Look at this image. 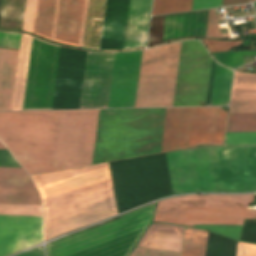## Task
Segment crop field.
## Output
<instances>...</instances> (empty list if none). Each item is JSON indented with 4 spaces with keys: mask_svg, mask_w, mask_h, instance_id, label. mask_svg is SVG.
I'll return each mask as SVG.
<instances>
[{
    "mask_svg": "<svg viewBox=\"0 0 256 256\" xmlns=\"http://www.w3.org/2000/svg\"><path fill=\"white\" fill-rule=\"evenodd\" d=\"M227 132H256V113H229Z\"/></svg>",
    "mask_w": 256,
    "mask_h": 256,
    "instance_id": "obj_31",
    "label": "crop field"
},
{
    "mask_svg": "<svg viewBox=\"0 0 256 256\" xmlns=\"http://www.w3.org/2000/svg\"><path fill=\"white\" fill-rule=\"evenodd\" d=\"M222 0H193L192 10L221 6Z\"/></svg>",
    "mask_w": 256,
    "mask_h": 256,
    "instance_id": "obj_44",
    "label": "crop field"
},
{
    "mask_svg": "<svg viewBox=\"0 0 256 256\" xmlns=\"http://www.w3.org/2000/svg\"><path fill=\"white\" fill-rule=\"evenodd\" d=\"M256 91V74L236 72L232 92Z\"/></svg>",
    "mask_w": 256,
    "mask_h": 256,
    "instance_id": "obj_34",
    "label": "crop field"
},
{
    "mask_svg": "<svg viewBox=\"0 0 256 256\" xmlns=\"http://www.w3.org/2000/svg\"><path fill=\"white\" fill-rule=\"evenodd\" d=\"M237 242L209 233L206 256H235Z\"/></svg>",
    "mask_w": 256,
    "mask_h": 256,
    "instance_id": "obj_30",
    "label": "crop field"
},
{
    "mask_svg": "<svg viewBox=\"0 0 256 256\" xmlns=\"http://www.w3.org/2000/svg\"><path fill=\"white\" fill-rule=\"evenodd\" d=\"M24 7L25 0H3L0 27L21 30Z\"/></svg>",
    "mask_w": 256,
    "mask_h": 256,
    "instance_id": "obj_26",
    "label": "crop field"
},
{
    "mask_svg": "<svg viewBox=\"0 0 256 256\" xmlns=\"http://www.w3.org/2000/svg\"><path fill=\"white\" fill-rule=\"evenodd\" d=\"M256 99V92L252 93H232L231 100H249Z\"/></svg>",
    "mask_w": 256,
    "mask_h": 256,
    "instance_id": "obj_46",
    "label": "crop field"
},
{
    "mask_svg": "<svg viewBox=\"0 0 256 256\" xmlns=\"http://www.w3.org/2000/svg\"><path fill=\"white\" fill-rule=\"evenodd\" d=\"M192 0H154L152 15L191 10Z\"/></svg>",
    "mask_w": 256,
    "mask_h": 256,
    "instance_id": "obj_32",
    "label": "crop field"
},
{
    "mask_svg": "<svg viewBox=\"0 0 256 256\" xmlns=\"http://www.w3.org/2000/svg\"><path fill=\"white\" fill-rule=\"evenodd\" d=\"M152 0H130L123 49L144 47ZM128 0H107L100 49H121Z\"/></svg>",
    "mask_w": 256,
    "mask_h": 256,
    "instance_id": "obj_11",
    "label": "crop field"
},
{
    "mask_svg": "<svg viewBox=\"0 0 256 256\" xmlns=\"http://www.w3.org/2000/svg\"><path fill=\"white\" fill-rule=\"evenodd\" d=\"M204 11H196V12H188V13H180V14H172V15H164V16H156L152 17L148 44L147 47L165 43L168 39L182 37L186 35H204L206 20H207V12ZM207 12V13H201ZM193 13H201V14H193ZM185 14H193V15H185ZM177 15H185V16H177ZM169 16H177V17H169ZM164 17L165 18V38L164 37ZM194 37H204V36H186L177 39H185V38H194ZM172 39V40H177ZM169 40V41H172Z\"/></svg>",
    "mask_w": 256,
    "mask_h": 256,
    "instance_id": "obj_19",
    "label": "crop field"
},
{
    "mask_svg": "<svg viewBox=\"0 0 256 256\" xmlns=\"http://www.w3.org/2000/svg\"><path fill=\"white\" fill-rule=\"evenodd\" d=\"M151 210L152 206L51 243L50 256H124Z\"/></svg>",
    "mask_w": 256,
    "mask_h": 256,
    "instance_id": "obj_6",
    "label": "crop field"
},
{
    "mask_svg": "<svg viewBox=\"0 0 256 256\" xmlns=\"http://www.w3.org/2000/svg\"><path fill=\"white\" fill-rule=\"evenodd\" d=\"M41 217L0 215V256L42 242Z\"/></svg>",
    "mask_w": 256,
    "mask_h": 256,
    "instance_id": "obj_18",
    "label": "crop field"
},
{
    "mask_svg": "<svg viewBox=\"0 0 256 256\" xmlns=\"http://www.w3.org/2000/svg\"><path fill=\"white\" fill-rule=\"evenodd\" d=\"M86 55L61 46L52 109H79Z\"/></svg>",
    "mask_w": 256,
    "mask_h": 256,
    "instance_id": "obj_15",
    "label": "crop field"
},
{
    "mask_svg": "<svg viewBox=\"0 0 256 256\" xmlns=\"http://www.w3.org/2000/svg\"><path fill=\"white\" fill-rule=\"evenodd\" d=\"M211 62L201 42H182L173 106H198L205 101Z\"/></svg>",
    "mask_w": 256,
    "mask_h": 256,
    "instance_id": "obj_13",
    "label": "crop field"
},
{
    "mask_svg": "<svg viewBox=\"0 0 256 256\" xmlns=\"http://www.w3.org/2000/svg\"><path fill=\"white\" fill-rule=\"evenodd\" d=\"M152 230L162 231V232H169L175 234H183L184 227L180 226H171V225H163V224H153L149 227L147 232L144 234L140 242L137 246H140L144 243L148 235L151 233ZM152 231L149 235L145 243L142 247H149V248H158V249H167V250H176L180 251L182 237L183 235H175L169 233H162Z\"/></svg>",
    "mask_w": 256,
    "mask_h": 256,
    "instance_id": "obj_22",
    "label": "crop field"
},
{
    "mask_svg": "<svg viewBox=\"0 0 256 256\" xmlns=\"http://www.w3.org/2000/svg\"><path fill=\"white\" fill-rule=\"evenodd\" d=\"M233 71L217 64L210 106L228 105Z\"/></svg>",
    "mask_w": 256,
    "mask_h": 256,
    "instance_id": "obj_25",
    "label": "crop field"
},
{
    "mask_svg": "<svg viewBox=\"0 0 256 256\" xmlns=\"http://www.w3.org/2000/svg\"><path fill=\"white\" fill-rule=\"evenodd\" d=\"M229 112H256V100L231 101Z\"/></svg>",
    "mask_w": 256,
    "mask_h": 256,
    "instance_id": "obj_41",
    "label": "crop field"
},
{
    "mask_svg": "<svg viewBox=\"0 0 256 256\" xmlns=\"http://www.w3.org/2000/svg\"><path fill=\"white\" fill-rule=\"evenodd\" d=\"M141 54L116 53L108 108L134 107Z\"/></svg>",
    "mask_w": 256,
    "mask_h": 256,
    "instance_id": "obj_17",
    "label": "crop field"
},
{
    "mask_svg": "<svg viewBox=\"0 0 256 256\" xmlns=\"http://www.w3.org/2000/svg\"><path fill=\"white\" fill-rule=\"evenodd\" d=\"M0 213L41 215V206L0 204Z\"/></svg>",
    "mask_w": 256,
    "mask_h": 256,
    "instance_id": "obj_35",
    "label": "crop field"
},
{
    "mask_svg": "<svg viewBox=\"0 0 256 256\" xmlns=\"http://www.w3.org/2000/svg\"><path fill=\"white\" fill-rule=\"evenodd\" d=\"M21 34L0 32V46L18 48ZM18 51L0 48V110H10Z\"/></svg>",
    "mask_w": 256,
    "mask_h": 256,
    "instance_id": "obj_20",
    "label": "crop field"
},
{
    "mask_svg": "<svg viewBox=\"0 0 256 256\" xmlns=\"http://www.w3.org/2000/svg\"><path fill=\"white\" fill-rule=\"evenodd\" d=\"M98 113L61 111L53 171L91 164Z\"/></svg>",
    "mask_w": 256,
    "mask_h": 256,
    "instance_id": "obj_10",
    "label": "crop field"
},
{
    "mask_svg": "<svg viewBox=\"0 0 256 256\" xmlns=\"http://www.w3.org/2000/svg\"><path fill=\"white\" fill-rule=\"evenodd\" d=\"M225 145H256V133H227Z\"/></svg>",
    "mask_w": 256,
    "mask_h": 256,
    "instance_id": "obj_36",
    "label": "crop field"
},
{
    "mask_svg": "<svg viewBox=\"0 0 256 256\" xmlns=\"http://www.w3.org/2000/svg\"><path fill=\"white\" fill-rule=\"evenodd\" d=\"M114 56L88 52L80 109L107 108Z\"/></svg>",
    "mask_w": 256,
    "mask_h": 256,
    "instance_id": "obj_16",
    "label": "crop field"
},
{
    "mask_svg": "<svg viewBox=\"0 0 256 256\" xmlns=\"http://www.w3.org/2000/svg\"><path fill=\"white\" fill-rule=\"evenodd\" d=\"M240 240L256 242V222L245 221Z\"/></svg>",
    "mask_w": 256,
    "mask_h": 256,
    "instance_id": "obj_42",
    "label": "crop field"
},
{
    "mask_svg": "<svg viewBox=\"0 0 256 256\" xmlns=\"http://www.w3.org/2000/svg\"><path fill=\"white\" fill-rule=\"evenodd\" d=\"M205 37L222 38L215 9L209 10Z\"/></svg>",
    "mask_w": 256,
    "mask_h": 256,
    "instance_id": "obj_38",
    "label": "crop field"
},
{
    "mask_svg": "<svg viewBox=\"0 0 256 256\" xmlns=\"http://www.w3.org/2000/svg\"><path fill=\"white\" fill-rule=\"evenodd\" d=\"M208 149L216 192L256 191V146ZM208 149H191L199 192H215Z\"/></svg>",
    "mask_w": 256,
    "mask_h": 256,
    "instance_id": "obj_5",
    "label": "crop field"
},
{
    "mask_svg": "<svg viewBox=\"0 0 256 256\" xmlns=\"http://www.w3.org/2000/svg\"><path fill=\"white\" fill-rule=\"evenodd\" d=\"M248 3V0H223L222 6L244 4Z\"/></svg>",
    "mask_w": 256,
    "mask_h": 256,
    "instance_id": "obj_49",
    "label": "crop field"
},
{
    "mask_svg": "<svg viewBox=\"0 0 256 256\" xmlns=\"http://www.w3.org/2000/svg\"><path fill=\"white\" fill-rule=\"evenodd\" d=\"M252 195H187L158 202L153 222L185 226L205 224L242 225L243 218H256V211L246 209ZM196 226L239 239L241 226Z\"/></svg>",
    "mask_w": 256,
    "mask_h": 256,
    "instance_id": "obj_3",
    "label": "crop field"
},
{
    "mask_svg": "<svg viewBox=\"0 0 256 256\" xmlns=\"http://www.w3.org/2000/svg\"><path fill=\"white\" fill-rule=\"evenodd\" d=\"M32 36L22 34L11 110H21Z\"/></svg>",
    "mask_w": 256,
    "mask_h": 256,
    "instance_id": "obj_24",
    "label": "crop field"
},
{
    "mask_svg": "<svg viewBox=\"0 0 256 256\" xmlns=\"http://www.w3.org/2000/svg\"><path fill=\"white\" fill-rule=\"evenodd\" d=\"M44 207V240L117 213L108 164L32 176Z\"/></svg>",
    "mask_w": 256,
    "mask_h": 256,
    "instance_id": "obj_1",
    "label": "crop field"
},
{
    "mask_svg": "<svg viewBox=\"0 0 256 256\" xmlns=\"http://www.w3.org/2000/svg\"><path fill=\"white\" fill-rule=\"evenodd\" d=\"M16 256H44L42 247L34 248Z\"/></svg>",
    "mask_w": 256,
    "mask_h": 256,
    "instance_id": "obj_48",
    "label": "crop field"
},
{
    "mask_svg": "<svg viewBox=\"0 0 256 256\" xmlns=\"http://www.w3.org/2000/svg\"><path fill=\"white\" fill-rule=\"evenodd\" d=\"M0 203L41 205L36 190L0 189Z\"/></svg>",
    "mask_w": 256,
    "mask_h": 256,
    "instance_id": "obj_29",
    "label": "crop field"
},
{
    "mask_svg": "<svg viewBox=\"0 0 256 256\" xmlns=\"http://www.w3.org/2000/svg\"><path fill=\"white\" fill-rule=\"evenodd\" d=\"M166 156L173 192H198L190 149L168 153Z\"/></svg>",
    "mask_w": 256,
    "mask_h": 256,
    "instance_id": "obj_21",
    "label": "crop field"
},
{
    "mask_svg": "<svg viewBox=\"0 0 256 256\" xmlns=\"http://www.w3.org/2000/svg\"><path fill=\"white\" fill-rule=\"evenodd\" d=\"M118 213L171 195L165 154L110 163Z\"/></svg>",
    "mask_w": 256,
    "mask_h": 256,
    "instance_id": "obj_7",
    "label": "crop field"
},
{
    "mask_svg": "<svg viewBox=\"0 0 256 256\" xmlns=\"http://www.w3.org/2000/svg\"><path fill=\"white\" fill-rule=\"evenodd\" d=\"M228 109L167 108L161 150L223 145Z\"/></svg>",
    "mask_w": 256,
    "mask_h": 256,
    "instance_id": "obj_8",
    "label": "crop field"
},
{
    "mask_svg": "<svg viewBox=\"0 0 256 256\" xmlns=\"http://www.w3.org/2000/svg\"><path fill=\"white\" fill-rule=\"evenodd\" d=\"M87 0H37L33 33L81 47Z\"/></svg>",
    "mask_w": 256,
    "mask_h": 256,
    "instance_id": "obj_12",
    "label": "crop field"
},
{
    "mask_svg": "<svg viewBox=\"0 0 256 256\" xmlns=\"http://www.w3.org/2000/svg\"><path fill=\"white\" fill-rule=\"evenodd\" d=\"M0 188L35 189L23 168H1Z\"/></svg>",
    "mask_w": 256,
    "mask_h": 256,
    "instance_id": "obj_27",
    "label": "crop field"
},
{
    "mask_svg": "<svg viewBox=\"0 0 256 256\" xmlns=\"http://www.w3.org/2000/svg\"><path fill=\"white\" fill-rule=\"evenodd\" d=\"M0 149H5L1 143H0Z\"/></svg>",
    "mask_w": 256,
    "mask_h": 256,
    "instance_id": "obj_50",
    "label": "crop field"
},
{
    "mask_svg": "<svg viewBox=\"0 0 256 256\" xmlns=\"http://www.w3.org/2000/svg\"><path fill=\"white\" fill-rule=\"evenodd\" d=\"M2 158H3V150H0V166H2ZM3 166L21 167L7 150H4Z\"/></svg>",
    "mask_w": 256,
    "mask_h": 256,
    "instance_id": "obj_45",
    "label": "crop field"
},
{
    "mask_svg": "<svg viewBox=\"0 0 256 256\" xmlns=\"http://www.w3.org/2000/svg\"><path fill=\"white\" fill-rule=\"evenodd\" d=\"M106 0H88L82 47L99 49Z\"/></svg>",
    "mask_w": 256,
    "mask_h": 256,
    "instance_id": "obj_23",
    "label": "crop field"
},
{
    "mask_svg": "<svg viewBox=\"0 0 256 256\" xmlns=\"http://www.w3.org/2000/svg\"><path fill=\"white\" fill-rule=\"evenodd\" d=\"M1 1H2V0H0V7H1Z\"/></svg>",
    "mask_w": 256,
    "mask_h": 256,
    "instance_id": "obj_53",
    "label": "crop field"
},
{
    "mask_svg": "<svg viewBox=\"0 0 256 256\" xmlns=\"http://www.w3.org/2000/svg\"><path fill=\"white\" fill-rule=\"evenodd\" d=\"M59 114L0 112V139L31 175L52 171Z\"/></svg>",
    "mask_w": 256,
    "mask_h": 256,
    "instance_id": "obj_4",
    "label": "crop field"
},
{
    "mask_svg": "<svg viewBox=\"0 0 256 256\" xmlns=\"http://www.w3.org/2000/svg\"><path fill=\"white\" fill-rule=\"evenodd\" d=\"M215 59L219 61V63L235 68L245 64L244 56L256 55V52L253 51H236V52H220L213 53Z\"/></svg>",
    "mask_w": 256,
    "mask_h": 256,
    "instance_id": "obj_33",
    "label": "crop field"
},
{
    "mask_svg": "<svg viewBox=\"0 0 256 256\" xmlns=\"http://www.w3.org/2000/svg\"><path fill=\"white\" fill-rule=\"evenodd\" d=\"M211 52L228 51L230 48L241 44L240 41H218V40H203Z\"/></svg>",
    "mask_w": 256,
    "mask_h": 256,
    "instance_id": "obj_40",
    "label": "crop field"
},
{
    "mask_svg": "<svg viewBox=\"0 0 256 256\" xmlns=\"http://www.w3.org/2000/svg\"><path fill=\"white\" fill-rule=\"evenodd\" d=\"M253 5H254V8H255V12H256V2H255V3H253Z\"/></svg>",
    "mask_w": 256,
    "mask_h": 256,
    "instance_id": "obj_51",
    "label": "crop field"
},
{
    "mask_svg": "<svg viewBox=\"0 0 256 256\" xmlns=\"http://www.w3.org/2000/svg\"><path fill=\"white\" fill-rule=\"evenodd\" d=\"M252 1H255V0H249V3L252 2Z\"/></svg>",
    "mask_w": 256,
    "mask_h": 256,
    "instance_id": "obj_52",
    "label": "crop field"
},
{
    "mask_svg": "<svg viewBox=\"0 0 256 256\" xmlns=\"http://www.w3.org/2000/svg\"><path fill=\"white\" fill-rule=\"evenodd\" d=\"M180 45L143 50L135 107L172 106Z\"/></svg>",
    "mask_w": 256,
    "mask_h": 256,
    "instance_id": "obj_9",
    "label": "crop field"
},
{
    "mask_svg": "<svg viewBox=\"0 0 256 256\" xmlns=\"http://www.w3.org/2000/svg\"><path fill=\"white\" fill-rule=\"evenodd\" d=\"M236 256H256V246L238 243Z\"/></svg>",
    "mask_w": 256,
    "mask_h": 256,
    "instance_id": "obj_43",
    "label": "crop field"
},
{
    "mask_svg": "<svg viewBox=\"0 0 256 256\" xmlns=\"http://www.w3.org/2000/svg\"><path fill=\"white\" fill-rule=\"evenodd\" d=\"M165 111L100 110L92 164L159 153Z\"/></svg>",
    "mask_w": 256,
    "mask_h": 256,
    "instance_id": "obj_2",
    "label": "crop field"
},
{
    "mask_svg": "<svg viewBox=\"0 0 256 256\" xmlns=\"http://www.w3.org/2000/svg\"><path fill=\"white\" fill-rule=\"evenodd\" d=\"M59 49L33 40L23 108H51Z\"/></svg>",
    "mask_w": 256,
    "mask_h": 256,
    "instance_id": "obj_14",
    "label": "crop field"
},
{
    "mask_svg": "<svg viewBox=\"0 0 256 256\" xmlns=\"http://www.w3.org/2000/svg\"><path fill=\"white\" fill-rule=\"evenodd\" d=\"M130 256H180V252L135 247Z\"/></svg>",
    "mask_w": 256,
    "mask_h": 256,
    "instance_id": "obj_39",
    "label": "crop field"
},
{
    "mask_svg": "<svg viewBox=\"0 0 256 256\" xmlns=\"http://www.w3.org/2000/svg\"><path fill=\"white\" fill-rule=\"evenodd\" d=\"M208 233L186 228L182 256H205Z\"/></svg>",
    "mask_w": 256,
    "mask_h": 256,
    "instance_id": "obj_28",
    "label": "crop field"
},
{
    "mask_svg": "<svg viewBox=\"0 0 256 256\" xmlns=\"http://www.w3.org/2000/svg\"><path fill=\"white\" fill-rule=\"evenodd\" d=\"M215 66H216V63L213 60L212 68H211V74H210V80H209V86H208V92H207V98H206V106H209V103H210L212 84H213V78H214V72H215Z\"/></svg>",
    "mask_w": 256,
    "mask_h": 256,
    "instance_id": "obj_47",
    "label": "crop field"
},
{
    "mask_svg": "<svg viewBox=\"0 0 256 256\" xmlns=\"http://www.w3.org/2000/svg\"><path fill=\"white\" fill-rule=\"evenodd\" d=\"M35 7H36V0H26L22 30L32 32Z\"/></svg>",
    "mask_w": 256,
    "mask_h": 256,
    "instance_id": "obj_37",
    "label": "crop field"
}]
</instances>
